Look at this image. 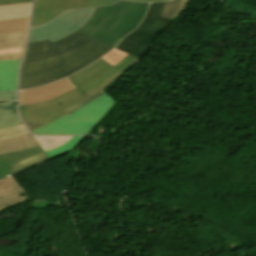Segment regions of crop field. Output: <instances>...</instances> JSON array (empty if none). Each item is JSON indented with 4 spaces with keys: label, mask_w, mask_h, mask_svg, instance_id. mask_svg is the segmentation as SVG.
Masks as SVG:
<instances>
[{
    "label": "crop field",
    "mask_w": 256,
    "mask_h": 256,
    "mask_svg": "<svg viewBox=\"0 0 256 256\" xmlns=\"http://www.w3.org/2000/svg\"><path fill=\"white\" fill-rule=\"evenodd\" d=\"M148 3L120 1L95 8L89 20L77 31L111 47L136 29L146 14Z\"/></svg>",
    "instance_id": "crop-field-2"
},
{
    "label": "crop field",
    "mask_w": 256,
    "mask_h": 256,
    "mask_svg": "<svg viewBox=\"0 0 256 256\" xmlns=\"http://www.w3.org/2000/svg\"><path fill=\"white\" fill-rule=\"evenodd\" d=\"M73 89L75 87L66 78L45 87L21 91L19 93V106L50 100Z\"/></svg>",
    "instance_id": "crop-field-9"
},
{
    "label": "crop field",
    "mask_w": 256,
    "mask_h": 256,
    "mask_svg": "<svg viewBox=\"0 0 256 256\" xmlns=\"http://www.w3.org/2000/svg\"><path fill=\"white\" fill-rule=\"evenodd\" d=\"M23 191L14 183L12 177L0 180V212L7 207L29 200V196L21 198Z\"/></svg>",
    "instance_id": "crop-field-11"
},
{
    "label": "crop field",
    "mask_w": 256,
    "mask_h": 256,
    "mask_svg": "<svg viewBox=\"0 0 256 256\" xmlns=\"http://www.w3.org/2000/svg\"><path fill=\"white\" fill-rule=\"evenodd\" d=\"M85 137H72L69 141H67L64 145H62L59 148L50 150L45 152L47 154V156L51 159L57 157V156H61L64 155L68 152H71L72 150H74L80 143L81 141L84 139Z\"/></svg>",
    "instance_id": "crop-field-19"
},
{
    "label": "crop field",
    "mask_w": 256,
    "mask_h": 256,
    "mask_svg": "<svg viewBox=\"0 0 256 256\" xmlns=\"http://www.w3.org/2000/svg\"><path fill=\"white\" fill-rule=\"evenodd\" d=\"M20 62L21 60L0 61V92L17 91Z\"/></svg>",
    "instance_id": "crop-field-12"
},
{
    "label": "crop field",
    "mask_w": 256,
    "mask_h": 256,
    "mask_svg": "<svg viewBox=\"0 0 256 256\" xmlns=\"http://www.w3.org/2000/svg\"><path fill=\"white\" fill-rule=\"evenodd\" d=\"M180 2L181 0L167 1L165 10L161 16L170 19L179 8Z\"/></svg>",
    "instance_id": "crop-field-21"
},
{
    "label": "crop field",
    "mask_w": 256,
    "mask_h": 256,
    "mask_svg": "<svg viewBox=\"0 0 256 256\" xmlns=\"http://www.w3.org/2000/svg\"><path fill=\"white\" fill-rule=\"evenodd\" d=\"M127 54L117 51V50H112L110 53L105 55L103 58L104 61L108 62L111 65H115L117 62H119L121 59H123Z\"/></svg>",
    "instance_id": "crop-field-23"
},
{
    "label": "crop field",
    "mask_w": 256,
    "mask_h": 256,
    "mask_svg": "<svg viewBox=\"0 0 256 256\" xmlns=\"http://www.w3.org/2000/svg\"><path fill=\"white\" fill-rule=\"evenodd\" d=\"M30 1L32 0H0V5L18 4Z\"/></svg>",
    "instance_id": "crop-field-28"
},
{
    "label": "crop field",
    "mask_w": 256,
    "mask_h": 256,
    "mask_svg": "<svg viewBox=\"0 0 256 256\" xmlns=\"http://www.w3.org/2000/svg\"><path fill=\"white\" fill-rule=\"evenodd\" d=\"M31 4L32 2L18 5L0 6V21L30 17Z\"/></svg>",
    "instance_id": "crop-field-15"
},
{
    "label": "crop field",
    "mask_w": 256,
    "mask_h": 256,
    "mask_svg": "<svg viewBox=\"0 0 256 256\" xmlns=\"http://www.w3.org/2000/svg\"><path fill=\"white\" fill-rule=\"evenodd\" d=\"M7 104H2L0 105V116L3 114L5 108H6Z\"/></svg>",
    "instance_id": "crop-field-30"
},
{
    "label": "crop field",
    "mask_w": 256,
    "mask_h": 256,
    "mask_svg": "<svg viewBox=\"0 0 256 256\" xmlns=\"http://www.w3.org/2000/svg\"><path fill=\"white\" fill-rule=\"evenodd\" d=\"M17 96V92L13 93H0V100H9L15 101Z\"/></svg>",
    "instance_id": "crop-field-27"
},
{
    "label": "crop field",
    "mask_w": 256,
    "mask_h": 256,
    "mask_svg": "<svg viewBox=\"0 0 256 256\" xmlns=\"http://www.w3.org/2000/svg\"><path fill=\"white\" fill-rule=\"evenodd\" d=\"M94 8L68 11L48 24L31 29L29 42L45 40L56 41L77 30L91 16Z\"/></svg>",
    "instance_id": "crop-field-6"
},
{
    "label": "crop field",
    "mask_w": 256,
    "mask_h": 256,
    "mask_svg": "<svg viewBox=\"0 0 256 256\" xmlns=\"http://www.w3.org/2000/svg\"><path fill=\"white\" fill-rule=\"evenodd\" d=\"M188 1H189V0H182V3H181V6H180L179 10L177 11V13H176L171 19L174 20L175 17H176L177 15H179V14L185 9V7H186Z\"/></svg>",
    "instance_id": "crop-field-29"
},
{
    "label": "crop field",
    "mask_w": 256,
    "mask_h": 256,
    "mask_svg": "<svg viewBox=\"0 0 256 256\" xmlns=\"http://www.w3.org/2000/svg\"><path fill=\"white\" fill-rule=\"evenodd\" d=\"M164 6L165 2L150 4L149 11L139 27L132 34L126 36L116 49L142 59L157 35L172 22V20L160 17Z\"/></svg>",
    "instance_id": "crop-field-4"
},
{
    "label": "crop field",
    "mask_w": 256,
    "mask_h": 256,
    "mask_svg": "<svg viewBox=\"0 0 256 256\" xmlns=\"http://www.w3.org/2000/svg\"><path fill=\"white\" fill-rule=\"evenodd\" d=\"M111 50L76 31L56 42L50 43L47 39L28 43L21 67L20 90L69 76Z\"/></svg>",
    "instance_id": "crop-field-1"
},
{
    "label": "crop field",
    "mask_w": 256,
    "mask_h": 256,
    "mask_svg": "<svg viewBox=\"0 0 256 256\" xmlns=\"http://www.w3.org/2000/svg\"><path fill=\"white\" fill-rule=\"evenodd\" d=\"M23 126L0 130V139L26 134Z\"/></svg>",
    "instance_id": "crop-field-22"
},
{
    "label": "crop field",
    "mask_w": 256,
    "mask_h": 256,
    "mask_svg": "<svg viewBox=\"0 0 256 256\" xmlns=\"http://www.w3.org/2000/svg\"><path fill=\"white\" fill-rule=\"evenodd\" d=\"M115 105L116 102L105 93L71 115L31 132L37 135H90Z\"/></svg>",
    "instance_id": "crop-field-3"
},
{
    "label": "crop field",
    "mask_w": 256,
    "mask_h": 256,
    "mask_svg": "<svg viewBox=\"0 0 256 256\" xmlns=\"http://www.w3.org/2000/svg\"><path fill=\"white\" fill-rule=\"evenodd\" d=\"M116 1L118 0H35L31 27L46 24L60 13L68 10L108 5ZM134 1L152 2L160 0Z\"/></svg>",
    "instance_id": "crop-field-8"
},
{
    "label": "crop field",
    "mask_w": 256,
    "mask_h": 256,
    "mask_svg": "<svg viewBox=\"0 0 256 256\" xmlns=\"http://www.w3.org/2000/svg\"><path fill=\"white\" fill-rule=\"evenodd\" d=\"M85 98L87 97L76 89L47 102L21 106L19 110L24 124L31 130L66 115L64 110ZM29 123L33 126L28 127Z\"/></svg>",
    "instance_id": "crop-field-5"
},
{
    "label": "crop field",
    "mask_w": 256,
    "mask_h": 256,
    "mask_svg": "<svg viewBox=\"0 0 256 256\" xmlns=\"http://www.w3.org/2000/svg\"><path fill=\"white\" fill-rule=\"evenodd\" d=\"M30 18L14 19L0 22V33L28 30Z\"/></svg>",
    "instance_id": "crop-field-18"
},
{
    "label": "crop field",
    "mask_w": 256,
    "mask_h": 256,
    "mask_svg": "<svg viewBox=\"0 0 256 256\" xmlns=\"http://www.w3.org/2000/svg\"><path fill=\"white\" fill-rule=\"evenodd\" d=\"M30 200L34 201L33 203H31V206H30V208H33V209H40V208H45L53 205V203L48 201L47 199H30Z\"/></svg>",
    "instance_id": "crop-field-25"
},
{
    "label": "crop field",
    "mask_w": 256,
    "mask_h": 256,
    "mask_svg": "<svg viewBox=\"0 0 256 256\" xmlns=\"http://www.w3.org/2000/svg\"><path fill=\"white\" fill-rule=\"evenodd\" d=\"M40 152H42V149L40 146H38L27 150L0 154V179L11 176L10 165L27 159Z\"/></svg>",
    "instance_id": "crop-field-13"
},
{
    "label": "crop field",
    "mask_w": 256,
    "mask_h": 256,
    "mask_svg": "<svg viewBox=\"0 0 256 256\" xmlns=\"http://www.w3.org/2000/svg\"><path fill=\"white\" fill-rule=\"evenodd\" d=\"M48 160V157L44 152L21 162H18L11 166L12 175H15L17 173H20L24 170H27L35 165H38L44 161Z\"/></svg>",
    "instance_id": "crop-field-17"
},
{
    "label": "crop field",
    "mask_w": 256,
    "mask_h": 256,
    "mask_svg": "<svg viewBox=\"0 0 256 256\" xmlns=\"http://www.w3.org/2000/svg\"><path fill=\"white\" fill-rule=\"evenodd\" d=\"M35 137V136H34ZM44 151L64 144L71 137H35Z\"/></svg>",
    "instance_id": "crop-field-20"
},
{
    "label": "crop field",
    "mask_w": 256,
    "mask_h": 256,
    "mask_svg": "<svg viewBox=\"0 0 256 256\" xmlns=\"http://www.w3.org/2000/svg\"><path fill=\"white\" fill-rule=\"evenodd\" d=\"M139 60V58L128 55L113 67L100 59L88 68L70 76V78L74 85L85 94L118 71H128Z\"/></svg>",
    "instance_id": "crop-field-7"
},
{
    "label": "crop field",
    "mask_w": 256,
    "mask_h": 256,
    "mask_svg": "<svg viewBox=\"0 0 256 256\" xmlns=\"http://www.w3.org/2000/svg\"><path fill=\"white\" fill-rule=\"evenodd\" d=\"M38 146L29 134L0 140V153L12 152Z\"/></svg>",
    "instance_id": "crop-field-14"
},
{
    "label": "crop field",
    "mask_w": 256,
    "mask_h": 256,
    "mask_svg": "<svg viewBox=\"0 0 256 256\" xmlns=\"http://www.w3.org/2000/svg\"><path fill=\"white\" fill-rule=\"evenodd\" d=\"M22 125L16 111V104H8V107L0 118V129Z\"/></svg>",
    "instance_id": "crop-field-16"
},
{
    "label": "crop field",
    "mask_w": 256,
    "mask_h": 256,
    "mask_svg": "<svg viewBox=\"0 0 256 256\" xmlns=\"http://www.w3.org/2000/svg\"><path fill=\"white\" fill-rule=\"evenodd\" d=\"M104 93H105V92L102 90L101 92H99V93L93 95L92 97H90V98H88V99H86V100H84V101H82V102L76 104L75 106L71 107L70 109H68V110H66V111H64V112L68 115V114L74 112L75 110H77L78 108L84 106L85 104H87L88 102H90L91 100H93L94 98H96V97H98V96H100V95H102V94H104Z\"/></svg>",
    "instance_id": "crop-field-26"
},
{
    "label": "crop field",
    "mask_w": 256,
    "mask_h": 256,
    "mask_svg": "<svg viewBox=\"0 0 256 256\" xmlns=\"http://www.w3.org/2000/svg\"><path fill=\"white\" fill-rule=\"evenodd\" d=\"M122 74H123V72L120 71L115 76H113L112 78H110L109 80H107L106 82L101 84L100 86L96 87L95 89L91 90L90 92L86 93L85 95L89 97V96L101 91L102 89L104 90L106 87H108L112 82H114Z\"/></svg>",
    "instance_id": "crop-field-24"
},
{
    "label": "crop field",
    "mask_w": 256,
    "mask_h": 256,
    "mask_svg": "<svg viewBox=\"0 0 256 256\" xmlns=\"http://www.w3.org/2000/svg\"><path fill=\"white\" fill-rule=\"evenodd\" d=\"M27 32L0 34V60L22 58L26 45Z\"/></svg>",
    "instance_id": "crop-field-10"
}]
</instances>
